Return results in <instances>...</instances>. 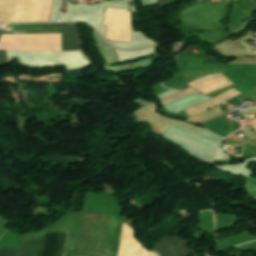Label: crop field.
I'll return each mask as SVG.
<instances>
[{"instance_id": "1", "label": "crop field", "mask_w": 256, "mask_h": 256, "mask_svg": "<svg viewBox=\"0 0 256 256\" xmlns=\"http://www.w3.org/2000/svg\"><path fill=\"white\" fill-rule=\"evenodd\" d=\"M113 216L84 212L78 251L107 255ZM122 222L114 218L108 256H117Z\"/></svg>"}, {"instance_id": "2", "label": "crop field", "mask_w": 256, "mask_h": 256, "mask_svg": "<svg viewBox=\"0 0 256 256\" xmlns=\"http://www.w3.org/2000/svg\"><path fill=\"white\" fill-rule=\"evenodd\" d=\"M63 36H79L75 23H62ZM81 49L79 37H63V50ZM0 50H61V34L2 35ZM0 63H7L0 51Z\"/></svg>"}, {"instance_id": "3", "label": "crop field", "mask_w": 256, "mask_h": 256, "mask_svg": "<svg viewBox=\"0 0 256 256\" xmlns=\"http://www.w3.org/2000/svg\"><path fill=\"white\" fill-rule=\"evenodd\" d=\"M52 1L0 0V22L47 21L51 12Z\"/></svg>"}, {"instance_id": "4", "label": "crop field", "mask_w": 256, "mask_h": 256, "mask_svg": "<svg viewBox=\"0 0 256 256\" xmlns=\"http://www.w3.org/2000/svg\"><path fill=\"white\" fill-rule=\"evenodd\" d=\"M66 232L48 233L39 256H61ZM78 232H67L62 256H96L93 253L76 252Z\"/></svg>"}, {"instance_id": "5", "label": "crop field", "mask_w": 256, "mask_h": 256, "mask_svg": "<svg viewBox=\"0 0 256 256\" xmlns=\"http://www.w3.org/2000/svg\"><path fill=\"white\" fill-rule=\"evenodd\" d=\"M103 24H108L107 38L116 41H131L130 12L127 10L107 8Z\"/></svg>"}, {"instance_id": "6", "label": "crop field", "mask_w": 256, "mask_h": 256, "mask_svg": "<svg viewBox=\"0 0 256 256\" xmlns=\"http://www.w3.org/2000/svg\"><path fill=\"white\" fill-rule=\"evenodd\" d=\"M153 251L158 256H188L194 252L186 246V241L177 237H165L161 239Z\"/></svg>"}, {"instance_id": "7", "label": "crop field", "mask_w": 256, "mask_h": 256, "mask_svg": "<svg viewBox=\"0 0 256 256\" xmlns=\"http://www.w3.org/2000/svg\"><path fill=\"white\" fill-rule=\"evenodd\" d=\"M44 236L23 242L18 256H38L43 248Z\"/></svg>"}, {"instance_id": "8", "label": "crop field", "mask_w": 256, "mask_h": 256, "mask_svg": "<svg viewBox=\"0 0 256 256\" xmlns=\"http://www.w3.org/2000/svg\"><path fill=\"white\" fill-rule=\"evenodd\" d=\"M19 249L0 248V256H17Z\"/></svg>"}, {"instance_id": "9", "label": "crop field", "mask_w": 256, "mask_h": 256, "mask_svg": "<svg viewBox=\"0 0 256 256\" xmlns=\"http://www.w3.org/2000/svg\"><path fill=\"white\" fill-rule=\"evenodd\" d=\"M246 188L256 197V179L247 180Z\"/></svg>"}, {"instance_id": "10", "label": "crop field", "mask_w": 256, "mask_h": 256, "mask_svg": "<svg viewBox=\"0 0 256 256\" xmlns=\"http://www.w3.org/2000/svg\"><path fill=\"white\" fill-rule=\"evenodd\" d=\"M173 1H175V0H158V3H159V5H161V4L171 3Z\"/></svg>"}, {"instance_id": "11", "label": "crop field", "mask_w": 256, "mask_h": 256, "mask_svg": "<svg viewBox=\"0 0 256 256\" xmlns=\"http://www.w3.org/2000/svg\"><path fill=\"white\" fill-rule=\"evenodd\" d=\"M97 256H101V255H98V254H97Z\"/></svg>"}]
</instances>
